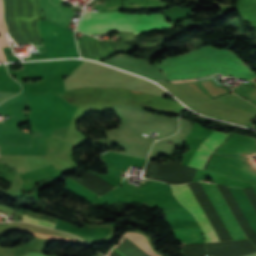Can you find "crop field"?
<instances>
[{"mask_svg": "<svg viewBox=\"0 0 256 256\" xmlns=\"http://www.w3.org/2000/svg\"><path fill=\"white\" fill-rule=\"evenodd\" d=\"M170 80L190 79L221 73L247 80H255L256 73L234 53L210 46L199 48L178 57L166 58L153 65Z\"/></svg>", "mask_w": 256, "mask_h": 256, "instance_id": "1", "label": "crop field"}, {"mask_svg": "<svg viewBox=\"0 0 256 256\" xmlns=\"http://www.w3.org/2000/svg\"><path fill=\"white\" fill-rule=\"evenodd\" d=\"M59 95L75 106H86L101 103L138 104L146 108L177 114H180L185 108L175 100H169L166 98L152 96L147 93L133 92L121 88H85L69 90L66 91V93H61Z\"/></svg>", "mask_w": 256, "mask_h": 256, "instance_id": "2", "label": "crop field"}, {"mask_svg": "<svg viewBox=\"0 0 256 256\" xmlns=\"http://www.w3.org/2000/svg\"><path fill=\"white\" fill-rule=\"evenodd\" d=\"M69 75L64 79L65 90L79 87H122L162 97L167 94L146 80L90 61H83Z\"/></svg>", "mask_w": 256, "mask_h": 256, "instance_id": "3", "label": "crop field"}, {"mask_svg": "<svg viewBox=\"0 0 256 256\" xmlns=\"http://www.w3.org/2000/svg\"><path fill=\"white\" fill-rule=\"evenodd\" d=\"M162 14L128 15L85 12L76 31L97 34L111 30L134 31V34L171 28Z\"/></svg>", "mask_w": 256, "mask_h": 256, "instance_id": "4", "label": "crop field"}, {"mask_svg": "<svg viewBox=\"0 0 256 256\" xmlns=\"http://www.w3.org/2000/svg\"><path fill=\"white\" fill-rule=\"evenodd\" d=\"M204 190L206 191L209 199L216 208L218 214L223 220L225 226L230 232L233 240L244 239L239 227L234 221L232 215L224 204L214 184L201 183ZM173 191L179 201L184 204L198 219L201 228L203 229L204 235L207 242L219 241L211 224L207 220L202 208L193 196L189 186L185 185H172Z\"/></svg>", "mask_w": 256, "mask_h": 256, "instance_id": "5", "label": "crop field"}, {"mask_svg": "<svg viewBox=\"0 0 256 256\" xmlns=\"http://www.w3.org/2000/svg\"><path fill=\"white\" fill-rule=\"evenodd\" d=\"M117 56H120L122 58H125V59H128L130 61H133V62H136V63H139L141 65H144V66H147L149 68H152V69H155L157 71H159L158 69L150 66L149 64H147L144 60L142 59H136V58H130L129 56H126V55H123V54H120V55H117ZM117 56H114L112 58H109L105 61H103L102 63H106V64H109V65H112V66H115V67H118V68H121V69H124V70H127V71H130V72H133V73H136V74H139L141 76H144V77H147L153 81H165V80H169L168 78H166L162 73L160 72H157L155 70H152V69H149L147 67H144V66H141V65H138L136 63H133V62H130L128 60H125V59H122L120 57H117Z\"/></svg>", "mask_w": 256, "mask_h": 256, "instance_id": "6", "label": "crop field"}, {"mask_svg": "<svg viewBox=\"0 0 256 256\" xmlns=\"http://www.w3.org/2000/svg\"><path fill=\"white\" fill-rule=\"evenodd\" d=\"M230 133L214 131L198 148L188 166L203 169L215 148L227 139Z\"/></svg>", "mask_w": 256, "mask_h": 256, "instance_id": "7", "label": "crop field"}, {"mask_svg": "<svg viewBox=\"0 0 256 256\" xmlns=\"http://www.w3.org/2000/svg\"><path fill=\"white\" fill-rule=\"evenodd\" d=\"M63 3H65V1L63 0H41L43 18L49 22L55 23L63 27H67V20L72 10L67 7L61 6V4ZM73 14L74 11L69 19V22Z\"/></svg>", "mask_w": 256, "mask_h": 256, "instance_id": "8", "label": "crop field"}, {"mask_svg": "<svg viewBox=\"0 0 256 256\" xmlns=\"http://www.w3.org/2000/svg\"><path fill=\"white\" fill-rule=\"evenodd\" d=\"M174 235L178 241L186 244L204 242L202 233L199 228L175 230Z\"/></svg>", "mask_w": 256, "mask_h": 256, "instance_id": "9", "label": "crop field"}, {"mask_svg": "<svg viewBox=\"0 0 256 256\" xmlns=\"http://www.w3.org/2000/svg\"><path fill=\"white\" fill-rule=\"evenodd\" d=\"M125 236L128 237L131 241H133L136 245H138L145 252H147L149 255H151V256H161L160 254H158L157 252H155L151 248V246H150L146 236L142 235L141 233H131V232H128V233L125 234ZM112 250L116 251L121 256H124L123 254H121L116 249H112Z\"/></svg>", "mask_w": 256, "mask_h": 256, "instance_id": "10", "label": "crop field"}, {"mask_svg": "<svg viewBox=\"0 0 256 256\" xmlns=\"http://www.w3.org/2000/svg\"><path fill=\"white\" fill-rule=\"evenodd\" d=\"M5 34H6V27L2 19V3L0 0V61H7L2 51V47L9 46Z\"/></svg>", "mask_w": 256, "mask_h": 256, "instance_id": "11", "label": "crop field"}, {"mask_svg": "<svg viewBox=\"0 0 256 256\" xmlns=\"http://www.w3.org/2000/svg\"><path fill=\"white\" fill-rule=\"evenodd\" d=\"M21 221H28V222L35 223V224L45 226V227H48V228H52V229H53V226H54L53 223H49V222H45V221H42V220L34 219V218L27 217V216H24V215L22 216Z\"/></svg>", "mask_w": 256, "mask_h": 256, "instance_id": "12", "label": "crop field"}, {"mask_svg": "<svg viewBox=\"0 0 256 256\" xmlns=\"http://www.w3.org/2000/svg\"><path fill=\"white\" fill-rule=\"evenodd\" d=\"M24 256H46V255L30 252V253H28V254H26Z\"/></svg>", "mask_w": 256, "mask_h": 256, "instance_id": "13", "label": "crop field"}, {"mask_svg": "<svg viewBox=\"0 0 256 256\" xmlns=\"http://www.w3.org/2000/svg\"><path fill=\"white\" fill-rule=\"evenodd\" d=\"M214 76V75H213ZM208 78V77H207ZM218 82H219V79L217 76L214 77ZM220 83V82H219ZM221 84V83H220Z\"/></svg>", "mask_w": 256, "mask_h": 256, "instance_id": "14", "label": "crop field"}, {"mask_svg": "<svg viewBox=\"0 0 256 256\" xmlns=\"http://www.w3.org/2000/svg\"><path fill=\"white\" fill-rule=\"evenodd\" d=\"M249 256H256V254H252V255H249Z\"/></svg>", "mask_w": 256, "mask_h": 256, "instance_id": "15", "label": "crop field"}, {"mask_svg": "<svg viewBox=\"0 0 256 256\" xmlns=\"http://www.w3.org/2000/svg\"><path fill=\"white\" fill-rule=\"evenodd\" d=\"M15 41V43H17V41L16 40H14Z\"/></svg>", "mask_w": 256, "mask_h": 256, "instance_id": "16", "label": "crop field"}]
</instances>
